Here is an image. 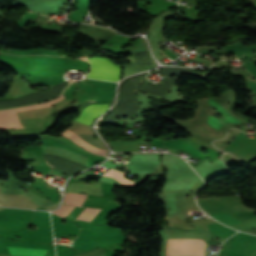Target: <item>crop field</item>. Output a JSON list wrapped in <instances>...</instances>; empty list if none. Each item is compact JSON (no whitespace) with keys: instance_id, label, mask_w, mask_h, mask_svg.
<instances>
[{"instance_id":"crop-field-1","label":"crop field","mask_w":256,"mask_h":256,"mask_svg":"<svg viewBox=\"0 0 256 256\" xmlns=\"http://www.w3.org/2000/svg\"><path fill=\"white\" fill-rule=\"evenodd\" d=\"M88 60L92 66V71L87 77L110 81L120 80L121 66L114 65L108 58L97 57Z\"/></svg>"},{"instance_id":"crop-field-2","label":"crop field","mask_w":256,"mask_h":256,"mask_svg":"<svg viewBox=\"0 0 256 256\" xmlns=\"http://www.w3.org/2000/svg\"><path fill=\"white\" fill-rule=\"evenodd\" d=\"M207 103L210 104L215 109H217V111L223 115L220 118H216L210 115L207 116L206 124L213 127L214 129L217 130L227 122L243 123L239 119H237L235 116H233L231 113H229L226 109H224L222 106H220L218 103H216L214 100H212L211 98Z\"/></svg>"},{"instance_id":"crop-field-3","label":"crop field","mask_w":256,"mask_h":256,"mask_svg":"<svg viewBox=\"0 0 256 256\" xmlns=\"http://www.w3.org/2000/svg\"><path fill=\"white\" fill-rule=\"evenodd\" d=\"M62 134L72 138L74 140V142L76 144L80 145L81 147H83L95 154L105 156L106 150H104L103 148L98 146L96 143H94L93 141H91L90 139H88L87 137L82 135L80 132H78L74 128L70 127Z\"/></svg>"},{"instance_id":"crop-field-4","label":"crop field","mask_w":256,"mask_h":256,"mask_svg":"<svg viewBox=\"0 0 256 256\" xmlns=\"http://www.w3.org/2000/svg\"><path fill=\"white\" fill-rule=\"evenodd\" d=\"M42 151L45 154L56 155L59 157L67 158V159L88 165V157L87 156L80 155V154L68 151L66 149L50 147V146H42ZM49 165H51V164H49Z\"/></svg>"},{"instance_id":"crop-field-5","label":"crop field","mask_w":256,"mask_h":256,"mask_svg":"<svg viewBox=\"0 0 256 256\" xmlns=\"http://www.w3.org/2000/svg\"><path fill=\"white\" fill-rule=\"evenodd\" d=\"M109 104H94L86 107L81 115L75 120L83 124L91 125L94 118L108 109Z\"/></svg>"},{"instance_id":"crop-field-6","label":"crop field","mask_w":256,"mask_h":256,"mask_svg":"<svg viewBox=\"0 0 256 256\" xmlns=\"http://www.w3.org/2000/svg\"><path fill=\"white\" fill-rule=\"evenodd\" d=\"M0 128H23L14 109L0 111Z\"/></svg>"},{"instance_id":"crop-field-7","label":"crop field","mask_w":256,"mask_h":256,"mask_svg":"<svg viewBox=\"0 0 256 256\" xmlns=\"http://www.w3.org/2000/svg\"><path fill=\"white\" fill-rule=\"evenodd\" d=\"M66 192H85L88 194H101V183H92L91 185L78 184V183H70L67 187Z\"/></svg>"},{"instance_id":"crop-field-8","label":"crop field","mask_w":256,"mask_h":256,"mask_svg":"<svg viewBox=\"0 0 256 256\" xmlns=\"http://www.w3.org/2000/svg\"><path fill=\"white\" fill-rule=\"evenodd\" d=\"M11 255L16 256H46L47 250L7 247Z\"/></svg>"},{"instance_id":"crop-field-9","label":"crop field","mask_w":256,"mask_h":256,"mask_svg":"<svg viewBox=\"0 0 256 256\" xmlns=\"http://www.w3.org/2000/svg\"><path fill=\"white\" fill-rule=\"evenodd\" d=\"M98 244L99 242L97 241L78 235L75 238V244L73 247L84 251H89L93 250Z\"/></svg>"},{"instance_id":"crop-field-10","label":"crop field","mask_w":256,"mask_h":256,"mask_svg":"<svg viewBox=\"0 0 256 256\" xmlns=\"http://www.w3.org/2000/svg\"><path fill=\"white\" fill-rule=\"evenodd\" d=\"M137 143H145L143 141L134 142H110L115 151H137Z\"/></svg>"},{"instance_id":"crop-field-11","label":"crop field","mask_w":256,"mask_h":256,"mask_svg":"<svg viewBox=\"0 0 256 256\" xmlns=\"http://www.w3.org/2000/svg\"><path fill=\"white\" fill-rule=\"evenodd\" d=\"M85 197H86V195L67 193V195L65 197V200H64V203L81 206Z\"/></svg>"},{"instance_id":"crop-field-12","label":"crop field","mask_w":256,"mask_h":256,"mask_svg":"<svg viewBox=\"0 0 256 256\" xmlns=\"http://www.w3.org/2000/svg\"><path fill=\"white\" fill-rule=\"evenodd\" d=\"M101 209L85 208L76 219H81L91 222L93 217L100 212Z\"/></svg>"},{"instance_id":"crop-field-13","label":"crop field","mask_w":256,"mask_h":256,"mask_svg":"<svg viewBox=\"0 0 256 256\" xmlns=\"http://www.w3.org/2000/svg\"><path fill=\"white\" fill-rule=\"evenodd\" d=\"M212 217L218 219L219 221H221L222 223L229 225V224H234V223H239L240 221L232 218L231 216L222 213V214H217V215H213Z\"/></svg>"},{"instance_id":"crop-field-14","label":"crop field","mask_w":256,"mask_h":256,"mask_svg":"<svg viewBox=\"0 0 256 256\" xmlns=\"http://www.w3.org/2000/svg\"><path fill=\"white\" fill-rule=\"evenodd\" d=\"M74 208V206H69V205H62L58 210L53 211L52 213L60 215L62 217H66Z\"/></svg>"},{"instance_id":"crop-field-15","label":"crop field","mask_w":256,"mask_h":256,"mask_svg":"<svg viewBox=\"0 0 256 256\" xmlns=\"http://www.w3.org/2000/svg\"><path fill=\"white\" fill-rule=\"evenodd\" d=\"M61 99H63V96H61V97H59V98H57V99H55V100H52V101H50V102H46V103L40 104V105L26 106V107L18 108V109H16V110L19 111V110H25V109H31V108L47 107V106H51L52 103H54V102H56V101H58V100H61Z\"/></svg>"},{"instance_id":"crop-field-16","label":"crop field","mask_w":256,"mask_h":256,"mask_svg":"<svg viewBox=\"0 0 256 256\" xmlns=\"http://www.w3.org/2000/svg\"><path fill=\"white\" fill-rule=\"evenodd\" d=\"M245 68L256 78V71L250 65Z\"/></svg>"},{"instance_id":"crop-field-17","label":"crop field","mask_w":256,"mask_h":256,"mask_svg":"<svg viewBox=\"0 0 256 256\" xmlns=\"http://www.w3.org/2000/svg\"><path fill=\"white\" fill-rule=\"evenodd\" d=\"M251 88L256 92V83L250 85Z\"/></svg>"}]
</instances>
